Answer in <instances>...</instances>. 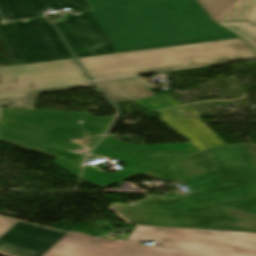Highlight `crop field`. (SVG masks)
Here are the masks:
<instances>
[{
  "mask_svg": "<svg viewBox=\"0 0 256 256\" xmlns=\"http://www.w3.org/2000/svg\"><path fill=\"white\" fill-rule=\"evenodd\" d=\"M255 150L256 144L223 146L144 173L187 185L191 193L147 195L112 210L139 225L256 232Z\"/></svg>",
  "mask_w": 256,
  "mask_h": 256,
  "instance_id": "8a807250",
  "label": "crop field"
},
{
  "mask_svg": "<svg viewBox=\"0 0 256 256\" xmlns=\"http://www.w3.org/2000/svg\"><path fill=\"white\" fill-rule=\"evenodd\" d=\"M89 1L117 52L239 37L196 0Z\"/></svg>",
  "mask_w": 256,
  "mask_h": 256,
  "instance_id": "ac0d7876",
  "label": "crop field"
},
{
  "mask_svg": "<svg viewBox=\"0 0 256 256\" xmlns=\"http://www.w3.org/2000/svg\"><path fill=\"white\" fill-rule=\"evenodd\" d=\"M127 240L157 243L149 247L66 233L42 256H256L251 232L137 226Z\"/></svg>",
  "mask_w": 256,
  "mask_h": 256,
  "instance_id": "34b2d1b8",
  "label": "crop field"
},
{
  "mask_svg": "<svg viewBox=\"0 0 256 256\" xmlns=\"http://www.w3.org/2000/svg\"><path fill=\"white\" fill-rule=\"evenodd\" d=\"M112 117L96 118L84 111L6 108L0 117V141L55 157L51 163L78 179L82 156L102 137Z\"/></svg>",
  "mask_w": 256,
  "mask_h": 256,
  "instance_id": "412701ff",
  "label": "crop field"
},
{
  "mask_svg": "<svg viewBox=\"0 0 256 256\" xmlns=\"http://www.w3.org/2000/svg\"><path fill=\"white\" fill-rule=\"evenodd\" d=\"M254 58L256 51L243 39H235L78 59L91 79L97 80Z\"/></svg>",
  "mask_w": 256,
  "mask_h": 256,
  "instance_id": "f4fd0767",
  "label": "crop field"
},
{
  "mask_svg": "<svg viewBox=\"0 0 256 256\" xmlns=\"http://www.w3.org/2000/svg\"><path fill=\"white\" fill-rule=\"evenodd\" d=\"M91 86L74 59L0 68V105L33 108L40 93Z\"/></svg>",
  "mask_w": 256,
  "mask_h": 256,
  "instance_id": "dd49c442",
  "label": "crop field"
},
{
  "mask_svg": "<svg viewBox=\"0 0 256 256\" xmlns=\"http://www.w3.org/2000/svg\"><path fill=\"white\" fill-rule=\"evenodd\" d=\"M47 7L85 11L80 16L67 15L66 22L55 24L76 57L117 53L86 0H0L7 19L42 16L40 10Z\"/></svg>",
  "mask_w": 256,
  "mask_h": 256,
  "instance_id": "e52e79f7",
  "label": "crop field"
},
{
  "mask_svg": "<svg viewBox=\"0 0 256 256\" xmlns=\"http://www.w3.org/2000/svg\"><path fill=\"white\" fill-rule=\"evenodd\" d=\"M197 152L189 143L138 146L104 138L91 153L118 158L127 164V169L118 173H104L85 167L82 181L104 189Z\"/></svg>",
  "mask_w": 256,
  "mask_h": 256,
  "instance_id": "d8731c3e",
  "label": "crop field"
},
{
  "mask_svg": "<svg viewBox=\"0 0 256 256\" xmlns=\"http://www.w3.org/2000/svg\"><path fill=\"white\" fill-rule=\"evenodd\" d=\"M0 38L15 65L72 58L45 18L0 23Z\"/></svg>",
  "mask_w": 256,
  "mask_h": 256,
  "instance_id": "5a996713",
  "label": "crop field"
},
{
  "mask_svg": "<svg viewBox=\"0 0 256 256\" xmlns=\"http://www.w3.org/2000/svg\"><path fill=\"white\" fill-rule=\"evenodd\" d=\"M64 234L0 217V254L41 256Z\"/></svg>",
  "mask_w": 256,
  "mask_h": 256,
  "instance_id": "3316defc",
  "label": "crop field"
},
{
  "mask_svg": "<svg viewBox=\"0 0 256 256\" xmlns=\"http://www.w3.org/2000/svg\"><path fill=\"white\" fill-rule=\"evenodd\" d=\"M161 120L198 150L223 146L219 138L199 119L190 105L159 112Z\"/></svg>",
  "mask_w": 256,
  "mask_h": 256,
  "instance_id": "28ad6ade",
  "label": "crop field"
},
{
  "mask_svg": "<svg viewBox=\"0 0 256 256\" xmlns=\"http://www.w3.org/2000/svg\"><path fill=\"white\" fill-rule=\"evenodd\" d=\"M114 103L135 101L155 96L137 78H121L94 82Z\"/></svg>",
  "mask_w": 256,
  "mask_h": 256,
  "instance_id": "d1516ede",
  "label": "crop field"
},
{
  "mask_svg": "<svg viewBox=\"0 0 256 256\" xmlns=\"http://www.w3.org/2000/svg\"><path fill=\"white\" fill-rule=\"evenodd\" d=\"M219 24L239 34L256 49V0H245Z\"/></svg>",
  "mask_w": 256,
  "mask_h": 256,
  "instance_id": "22f410ed",
  "label": "crop field"
},
{
  "mask_svg": "<svg viewBox=\"0 0 256 256\" xmlns=\"http://www.w3.org/2000/svg\"><path fill=\"white\" fill-rule=\"evenodd\" d=\"M212 21L218 23L244 0H197ZM198 3V4H199Z\"/></svg>",
  "mask_w": 256,
  "mask_h": 256,
  "instance_id": "cbeb9de0",
  "label": "crop field"
},
{
  "mask_svg": "<svg viewBox=\"0 0 256 256\" xmlns=\"http://www.w3.org/2000/svg\"><path fill=\"white\" fill-rule=\"evenodd\" d=\"M134 103H136L137 105L145 109H161V108H167V107L179 105L169 95L155 96V97L135 101Z\"/></svg>",
  "mask_w": 256,
  "mask_h": 256,
  "instance_id": "5142ce71",
  "label": "crop field"
},
{
  "mask_svg": "<svg viewBox=\"0 0 256 256\" xmlns=\"http://www.w3.org/2000/svg\"><path fill=\"white\" fill-rule=\"evenodd\" d=\"M0 112H1V108H0Z\"/></svg>",
  "mask_w": 256,
  "mask_h": 256,
  "instance_id": "d9b57169",
  "label": "crop field"
}]
</instances>
